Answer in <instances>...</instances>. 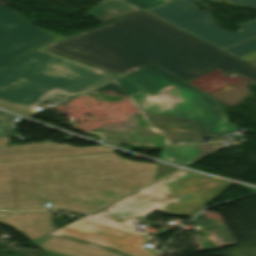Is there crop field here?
<instances>
[{"label":"crop field","mask_w":256,"mask_h":256,"mask_svg":"<svg viewBox=\"0 0 256 256\" xmlns=\"http://www.w3.org/2000/svg\"><path fill=\"white\" fill-rule=\"evenodd\" d=\"M197 1L181 0L146 11L222 49L256 37V20L237 25L244 32L226 31L193 5Z\"/></svg>","instance_id":"obj_6"},{"label":"crop field","mask_w":256,"mask_h":256,"mask_svg":"<svg viewBox=\"0 0 256 256\" xmlns=\"http://www.w3.org/2000/svg\"><path fill=\"white\" fill-rule=\"evenodd\" d=\"M191 222L202 227L201 229L194 231L196 233L212 229L217 238L219 239L220 243L222 244V246L236 243L228 228L223 223L219 222L214 218L207 219L204 212L199 214Z\"/></svg>","instance_id":"obj_15"},{"label":"crop field","mask_w":256,"mask_h":256,"mask_svg":"<svg viewBox=\"0 0 256 256\" xmlns=\"http://www.w3.org/2000/svg\"><path fill=\"white\" fill-rule=\"evenodd\" d=\"M207 233L209 234V236L211 237V239L213 240V242L216 244V246H221V244L219 243L218 239L216 238V236L214 235V233L212 232V230L207 231Z\"/></svg>","instance_id":"obj_25"},{"label":"crop field","mask_w":256,"mask_h":256,"mask_svg":"<svg viewBox=\"0 0 256 256\" xmlns=\"http://www.w3.org/2000/svg\"><path fill=\"white\" fill-rule=\"evenodd\" d=\"M14 116L0 112V137L8 136L12 133Z\"/></svg>","instance_id":"obj_18"},{"label":"crop field","mask_w":256,"mask_h":256,"mask_svg":"<svg viewBox=\"0 0 256 256\" xmlns=\"http://www.w3.org/2000/svg\"><path fill=\"white\" fill-rule=\"evenodd\" d=\"M241 58L244 59V60H246V61H248V62H251V61H253V60H256V52L251 53V54L246 55V56H243V57H241Z\"/></svg>","instance_id":"obj_24"},{"label":"crop field","mask_w":256,"mask_h":256,"mask_svg":"<svg viewBox=\"0 0 256 256\" xmlns=\"http://www.w3.org/2000/svg\"><path fill=\"white\" fill-rule=\"evenodd\" d=\"M31 243L44 250L67 256H125L109 248L53 233H50Z\"/></svg>","instance_id":"obj_11"},{"label":"crop field","mask_w":256,"mask_h":256,"mask_svg":"<svg viewBox=\"0 0 256 256\" xmlns=\"http://www.w3.org/2000/svg\"><path fill=\"white\" fill-rule=\"evenodd\" d=\"M54 39L0 2V68L23 52Z\"/></svg>","instance_id":"obj_8"},{"label":"crop field","mask_w":256,"mask_h":256,"mask_svg":"<svg viewBox=\"0 0 256 256\" xmlns=\"http://www.w3.org/2000/svg\"><path fill=\"white\" fill-rule=\"evenodd\" d=\"M142 9L127 3L123 0H103L91 11L86 13L88 16L104 23L112 22L122 16L140 11Z\"/></svg>","instance_id":"obj_14"},{"label":"crop field","mask_w":256,"mask_h":256,"mask_svg":"<svg viewBox=\"0 0 256 256\" xmlns=\"http://www.w3.org/2000/svg\"><path fill=\"white\" fill-rule=\"evenodd\" d=\"M54 232L114 248L130 256L157 255V252L143 248L142 245L148 243V239L145 235L129 233L82 219Z\"/></svg>","instance_id":"obj_9"},{"label":"crop field","mask_w":256,"mask_h":256,"mask_svg":"<svg viewBox=\"0 0 256 256\" xmlns=\"http://www.w3.org/2000/svg\"><path fill=\"white\" fill-rule=\"evenodd\" d=\"M225 50L237 55L238 57L249 54L251 52L256 51V38L235 45L233 47L227 48Z\"/></svg>","instance_id":"obj_17"},{"label":"crop field","mask_w":256,"mask_h":256,"mask_svg":"<svg viewBox=\"0 0 256 256\" xmlns=\"http://www.w3.org/2000/svg\"><path fill=\"white\" fill-rule=\"evenodd\" d=\"M115 82L170 145L204 142L203 137L224 140L223 134L235 128L216 101L154 64Z\"/></svg>","instance_id":"obj_3"},{"label":"crop field","mask_w":256,"mask_h":256,"mask_svg":"<svg viewBox=\"0 0 256 256\" xmlns=\"http://www.w3.org/2000/svg\"><path fill=\"white\" fill-rule=\"evenodd\" d=\"M0 107L15 111L17 113H20V114H23V115H26V116H29V117H33L34 115L37 114V113L30 112V111H27V110H24V109H21V108H17V107L8 105V104H4V103H1V102H0Z\"/></svg>","instance_id":"obj_22"},{"label":"crop field","mask_w":256,"mask_h":256,"mask_svg":"<svg viewBox=\"0 0 256 256\" xmlns=\"http://www.w3.org/2000/svg\"><path fill=\"white\" fill-rule=\"evenodd\" d=\"M221 73H224V72L215 70V71H213L209 74H206V75H204L202 77H199L195 80H192L188 83L193 85L194 87L202 90L204 88H207V87H210L212 85L218 84V83L222 82L223 80L231 79V78H229L225 75H221ZM207 76H210V78H207ZM199 79H202V81H199ZM211 80L213 81V83H210ZM201 83L204 84V85L201 86L200 85Z\"/></svg>","instance_id":"obj_16"},{"label":"crop field","mask_w":256,"mask_h":256,"mask_svg":"<svg viewBox=\"0 0 256 256\" xmlns=\"http://www.w3.org/2000/svg\"><path fill=\"white\" fill-rule=\"evenodd\" d=\"M95 92H103V93H107V94H118V95H122L125 96L127 98H130L128 95H126L121 89L120 87L114 82V83H110L107 84L105 86H102L98 89H95L89 93H95Z\"/></svg>","instance_id":"obj_19"},{"label":"crop field","mask_w":256,"mask_h":256,"mask_svg":"<svg viewBox=\"0 0 256 256\" xmlns=\"http://www.w3.org/2000/svg\"><path fill=\"white\" fill-rule=\"evenodd\" d=\"M185 82L219 68L237 71L256 81V66L230 55L204 41L154 63Z\"/></svg>","instance_id":"obj_7"},{"label":"crop field","mask_w":256,"mask_h":256,"mask_svg":"<svg viewBox=\"0 0 256 256\" xmlns=\"http://www.w3.org/2000/svg\"><path fill=\"white\" fill-rule=\"evenodd\" d=\"M116 77L37 49L0 70V100L27 109L43 100L61 103Z\"/></svg>","instance_id":"obj_4"},{"label":"crop field","mask_w":256,"mask_h":256,"mask_svg":"<svg viewBox=\"0 0 256 256\" xmlns=\"http://www.w3.org/2000/svg\"><path fill=\"white\" fill-rule=\"evenodd\" d=\"M149 128H150V127H149ZM150 130H151L152 132L158 133V134H160V135H162V136L165 137L164 133H163L162 131H160V130L153 129V128H150ZM165 143H166V145H169L168 142H167V140H166V137H165Z\"/></svg>","instance_id":"obj_26"},{"label":"crop field","mask_w":256,"mask_h":256,"mask_svg":"<svg viewBox=\"0 0 256 256\" xmlns=\"http://www.w3.org/2000/svg\"><path fill=\"white\" fill-rule=\"evenodd\" d=\"M210 213H211V212L205 211V214H206L207 218H210V217H211V216L209 215ZM212 214L214 215L213 217H215L216 219H218L219 221H221L219 215L214 214V213H212ZM221 222H222V221H221Z\"/></svg>","instance_id":"obj_27"},{"label":"crop field","mask_w":256,"mask_h":256,"mask_svg":"<svg viewBox=\"0 0 256 256\" xmlns=\"http://www.w3.org/2000/svg\"><path fill=\"white\" fill-rule=\"evenodd\" d=\"M222 147V142H219L203 145L163 148L160 159L179 165H187Z\"/></svg>","instance_id":"obj_13"},{"label":"crop field","mask_w":256,"mask_h":256,"mask_svg":"<svg viewBox=\"0 0 256 256\" xmlns=\"http://www.w3.org/2000/svg\"><path fill=\"white\" fill-rule=\"evenodd\" d=\"M233 183L180 170L83 218L132 231L153 211L192 217Z\"/></svg>","instance_id":"obj_5"},{"label":"crop field","mask_w":256,"mask_h":256,"mask_svg":"<svg viewBox=\"0 0 256 256\" xmlns=\"http://www.w3.org/2000/svg\"><path fill=\"white\" fill-rule=\"evenodd\" d=\"M174 170H176L175 167H171V166H168L165 164L158 163V169H157L155 180L174 171Z\"/></svg>","instance_id":"obj_21"},{"label":"crop field","mask_w":256,"mask_h":256,"mask_svg":"<svg viewBox=\"0 0 256 256\" xmlns=\"http://www.w3.org/2000/svg\"><path fill=\"white\" fill-rule=\"evenodd\" d=\"M52 221L53 216L51 212L0 213L1 224L19 231L31 241L58 229L52 224ZM48 226L53 228H46Z\"/></svg>","instance_id":"obj_12"},{"label":"crop field","mask_w":256,"mask_h":256,"mask_svg":"<svg viewBox=\"0 0 256 256\" xmlns=\"http://www.w3.org/2000/svg\"><path fill=\"white\" fill-rule=\"evenodd\" d=\"M230 3L245 5L256 8V0H226Z\"/></svg>","instance_id":"obj_23"},{"label":"crop field","mask_w":256,"mask_h":256,"mask_svg":"<svg viewBox=\"0 0 256 256\" xmlns=\"http://www.w3.org/2000/svg\"><path fill=\"white\" fill-rule=\"evenodd\" d=\"M9 137L0 138V162L117 151L105 146L71 147L53 142L7 147Z\"/></svg>","instance_id":"obj_10"},{"label":"crop field","mask_w":256,"mask_h":256,"mask_svg":"<svg viewBox=\"0 0 256 256\" xmlns=\"http://www.w3.org/2000/svg\"><path fill=\"white\" fill-rule=\"evenodd\" d=\"M157 164L128 161L114 152L0 164V209L51 208L84 214L155 178Z\"/></svg>","instance_id":"obj_1"},{"label":"crop field","mask_w":256,"mask_h":256,"mask_svg":"<svg viewBox=\"0 0 256 256\" xmlns=\"http://www.w3.org/2000/svg\"><path fill=\"white\" fill-rule=\"evenodd\" d=\"M128 1L142 9L153 7L156 5L164 4L174 0H125Z\"/></svg>","instance_id":"obj_20"},{"label":"crop field","mask_w":256,"mask_h":256,"mask_svg":"<svg viewBox=\"0 0 256 256\" xmlns=\"http://www.w3.org/2000/svg\"><path fill=\"white\" fill-rule=\"evenodd\" d=\"M252 64L256 65V61L251 62Z\"/></svg>","instance_id":"obj_28"},{"label":"crop field","mask_w":256,"mask_h":256,"mask_svg":"<svg viewBox=\"0 0 256 256\" xmlns=\"http://www.w3.org/2000/svg\"><path fill=\"white\" fill-rule=\"evenodd\" d=\"M200 41L141 11L41 48L117 74L137 71Z\"/></svg>","instance_id":"obj_2"}]
</instances>
